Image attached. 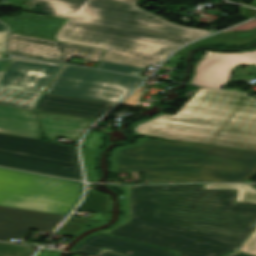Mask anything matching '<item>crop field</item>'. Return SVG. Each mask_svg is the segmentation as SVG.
I'll use <instances>...</instances> for the list:
<instances>
[{"label": "crop field", "mask_w": 256, "mask_h": 256, "mask_svg": "<svg viewBox=\"0 0 256 256\" xmlns=\"http://www.w3.org/2000/svg\"><path fill=\"white\" fill-rule=\"evenodd\" d=\"M236 192L203 184L137 186V221L110 235L178 256L229 253L256 226V206L235 204Z\"/></svg>", "instance_id": "obj_1"}, {"label": "crop field", "mask_w": 256, "mask_h": 256, "mask_svg": "<svg viewBox=\"0 0 256 256\" xmlns=\"http://www.w3.org/2000/svg\"><path fill=\"white\" fill-rule=\"evenodd\" d=\"M137 0H89L58 41L104 49L101 60L147 68L209 31L184 27L139 9Z\"/></svg>", "instance_id": "obj_2"}, {"label": "crop field", "mask_w": 256, "mask_h": 256, "mask_svg": "<svg viewBox=\"0 0 256 256\" xmlns=\"http://www.w3.org/2000/svg\"><path fill=\"white\" fill-rule=\"evenodd\" d=\"M132 129L164 139L256 151V99L200 88L175 116L159 113Z\"/></svg>", "instance_id": "obj_3"}, {"label": "crop field", "mask_w": 256, "mask_h": 256, "mask_svg": "<svg viewBox=\"0 0 256 256\" xmlns=\"http://www.w3.org/2000/svg\"><path fill=\"white\" fill-rule=\"evenodd\" d=\"M117 161L120 173L140 170L151 183L244 182L256 173V152L189 142L148 140Z\"/></svg>", "instance_id": "obj_4"}, {"label": "crop field", "mask_w": 256, "mask_h": 256, "mask_svg": "<svg viewBox=\"0 0 256 256\" xmlns=\"http://www.w3.org/2000/svg\"><path fill=\"white\" fill-rule=\"evenodd\" d=\"M83 183L0 168V205L67 215Z\"/></svg>", "instance_id": "obj_5"}, {"label": "crop field", "mask_w": 256, "mask_h": 256, "mask_svg": "<svg viewBox=\"0 0 256 256\" xmlns=\"http://www.w3.org/2000/svg\"><path fill=\"white\" fill-rule=\"evenodd\" d=\"M144 80L62 65L45 93L116 104Z\"/></svg>", "instance_id": "obj_6"}, {"label": "crop field", "mask_w": 256, "mask_h": 256, "mask_svg": "<svg viewBox=\"0 0 256 256\" xmlns=\"http://www.w3.org/2000/svg\"><path fill=\"white\" fill-rule=\"evenodd\" d=\"M8 51L12 55L67 63L71 56L98 62L104 50L58 43L25 35L10 34Z\"/></svg>", "instance_id": "obj_7"}, {"label": "crop field", "mask_w": 256, "mask_h": 256, "mask_svg": "<svg viewBox=\"0 0 256 256\" xmlns=\"http://www.w3.org/2000/svg\"><path fill=\"white\" fill-rule=\"evenodd\" d=\"M64 217L0 206V241L9 242L10 238L26 239L29 229L51 233L55 228L54 223Z\"/></svg>", "instance_id": "obj_8"}, {"label": "crop field", "mask_w": 256, "mask_h": 256, "mask_svg": "<svg viewBox=\"0 0 256 256\" xmlns=\"http://www.w3.org/2000/svg\"><path fill=\"white\" fill-rule=\"evenodd\" d=\"M61 65L13 58L0 85L44 92L50 79Z\"/></svg>", "instance_id": "obj_9"}, {"label": "crop field", "mask_w": 256, "mask_h": 256, "mask_svg": "<svg viewBox=\"0 0 256 256\" xmlns=\"http://www.w3.org/2000/svg\"><path fill=\"white\" fill-rule=\"evenodd\" d=\"M256 64V52L247 53H216L202 59L196 65V76L192 84L220 87L228 81L230 68L240 63Z\"/></svg>", "instance_id": "obj_10"}, {"label": "crop field", "mask_w": 256, "mask_h": 256, "mask_svg": "<svg viewBox=\"0 0 256 256\" xmlns=\"http://www.w3.org/2000/svg\"><path fill=\"white\" fill-rule=\"evenodd\" d=\"M0 149L79 164L76 148L43 140L0 133Z\"/></svg>", "instance_id": "obj_11"}, {"label": "crop field", "mask_w": 256, "mask_h": 256, "mask_svg": "<svg viewBox=\"0 0 256 256\" xmlns=\"http://www.w3.org/2000/svg\"><path fill=\"white\" fill-rule=\"evenodd\" d=\"M102 247L126 256H176L170 250L98 234L92 235L73 251L96 256L102 251ZM127 251L134 253L130 255Z\"/></svg>", "instance_id": "obj_12"}, {"label": "crop field", "mask_w": 256, "mask_h": 256, "mask_svg": "<svg viewBox=\"0 0 256 256\" xmlns=\"http://www.w3.org/2000/svg\"><path fill=\"white\" fill-rule=\"evenodd\" d=\"M0 166L82 180L80 167L61 161L17 154L0 150Z\"/></svg>", "instance_id": "obj_13"}, {"label": "crop field", "mask_w": 256, "mask_h": 256, "mask_svg": "<svg viewBox=\"0 0 256 256\" xmlns=\"http://www.w3.org/2000/svg\"><path fill=\"white\" fill-rule=\"evenodd\" d=\"M113 104L45 94L37 110L97 120Z\"/></svg>", "instance_id": "obj_14"}, {"label": "crop field", "mask_w": 256, "mask_h": 256, "mask_svg": "<svg viewBox=\"0 0 256 256\" xmlns=\"http://www.w3.org/2000/svg\"><path fill=\"white\" fill-rule=\"evenodd\" d=\"M10 26L11 33H20L37 38L55 40L58 28L67 20L54 16L23 13L17 17L0 18Z\"/></svg>", "instance_id": "obj_15"}, {"label": "crop field", "mask_w": 256, "mask_h": 256, "mask_svg": "<svg viewBox=\"0 0 256 256\" xmlns=\"http://www.w3.org/2000/svg\"><path fill=\"white\" fill-rule=\"evenodd\" d=\"M0 132L41 139L33 111L0 106Z\"/></svg>", "instance_id": "obj_16"}, {"label": "crop field", "mask_w": 256, "mask_h": 256, "mask_svg": "<svg viewBox=\"0 0 256 256\" xmlns=\"http://www.w3.org/2000/svg\"><path fill=\"white\" fill-rule=\"evenodd\" d=\"M38 117L45 131V138L53 140L58 137L79 139L84 130L94 122L44 113H38Z\"/></svg>", "instance_id": "obj_17"}, {"label": "crop field", "mask_w": 256, "mask_h": 256, "mask_svg": "<svg viewBox=\"0 0 256 256\" xmlns=\"http://www.w3.org/2000/svg\"><path fill=\"white\" fill-rule=\"evenodd\" d=\"M29 10L70 19L83 9L88 0H33Z\"/></svg>", "instance_id": "obj_18"}, {"label": "crop field", "mask_w": 256, "mask_h": 256, "mask_svg": "<svg viewBox=\"0 0 256 256\" xmlns=\"http://www.w3.org/2000/svg\"><path fill=\"white\" fill-rule=\"evenodd\" d=\"M255 38H256V28L251 30H243V31L223 32V33H219L214 36L208 37L206 39H203L201 41H198L196 43H193L181 49L176 54L183 55L186 51H188L191 48L198 47V46L214 45L219 43H226V44L239 46V45L249 43Z\"/></svg>", "instance_id": "obj_19"}, {"label": "crop field", "mask_w": 256, "mask_h": 256, "mask_svg": "<svg viewBox=\"0 0 256 256\" xmlns=\"http://www.w3.org/2000/svg\"><path fill=\"white\" fill-rule=\"evenodd\" d=\"M41 95L40 92L0 87V105L34 110Z\"/></svg>", "instance_id": "obj_20"}, {"label": "crop field", "mask_w": 256, "mask_h": 256, "mask_svg": "<svg viewBox=\"0 0 256 256\" xmlns=\"http://www.w3.org/2000/svg\"><path fill=\"white\" fill-rule=\"evenodd\" d=\"M116 188L123 191L122 202H123V208H124V215L119 224L115 225L110 230H103L100 233L109 234L136 220V186H127V187L116 186Z\"/></svg>", "instance_id": "obj_21"}, {"label": "crop field", "mask_w": 256, "mask_h": 256, "mask_svg": "<svg viewBox=\"0 0 256 256\" xmlns=\"http://www.w3.org/2000/svg\"><path fill=\"white\" fill-rule=\"evenodd\" d=\"M204 189H238L236 202L256 204V187L247 184H204Z\"/></svg>", "instance_id": "obj_22"}, {"label": "crop field", "mask_w": 256, "mask_h": 256, "mask_svg": "<svg viewBox=\"0 0 256 256\" xmlns=\"http://www.w3.org/2000/svg\"><path fill=\"white\" fill-rule=\"evenodd\" d=\"M108 205H110L109 196L87 190L85 200L78 209L100 212L101 215H107Z\"/></svg>", "instance_id": "obj_23"}, {"label": "crop field", "mask_w": 256, "mask_h": 256, "mask_svg": "<svg viewBox=\"0 0 256 256\" xmlns=\"http://www.w3.org/2000/svg\"><path fill=\"white\" fill-rule=\"evenodd\" d=\"M97 68L115 71V72L126 73V74L138 75V76H140L145 71L144 68L126 66V65L103 62V61H100Z\"/></svg>", "instance_id": "obj_24"}, {"label": "crop field", "mask_w": 256, "mask_h": 256, "mask_svg": "<svg viewBox=\"0 0 256 256\" xmlns=\"http://www.w3.org/2000/svg\"><path fill=\"white\" fill-rule=\"evenodd\" d=\"M89 222L98 223V224L107 223L102 221L71 217L59 231L78 234L83 230L84 226Z\"/></svg>", "instance_id": "obj_25"}, {"label": "crop field", "mask_w": 256, "mask_h": 256, "mask_svg": "<svg viewBox=\"0 0 256 256\" xmlns=\"http://www.w3.org/2000/svg\"><path fill=\"white\" fill-rule=\"evenodd\" d=\"M30 247L0 243V256H32Z\"/></svg>", "instance_id": "obj_26"}, {"label": "crop field", "mask_w": 256, "mask_h": 256, "mask_svg": "<svg viewBox=\"0 0 256 256\" xmlns=\"http://www.w3.org/2000/svg\"><path fill=\"white\" fill-rule=\"evenodd\" d=\"M103 133L99 131L89 130L85 139L83 140L84 147L100 148L104 143L101 140Z\"/></svg>", "instance_id": "obj_27"}, {"label": "crop field", "mask_w": 256, "mask_h": 256, "mask_svg": "<svg viewBox=\"0 0 256 256\" xmlns=\"http://www.w3.org/2000/svg\"><path fill=\"white\" fill-rule=\"evenodd\" d=\"M239 251L247 252L256 255V231L239 249Z\"/></svg>", "instance_id": "obj_28"}, {"label": "crop field", "mask_w": 256, "mask_h": 256, "mask_svg": "<svg viewBox=\"0 0 256 256\" xmlns=\"http://www.w3.org/2000/svg\"><path fill=\"white\" fill-rule=\"evenodd\" d=\"M98 150L96 149H86V148H82L81 152H82V156H83V161L84 164L86 165H91V166H95V158L94 155Z\"/></svg>", "instance_id": "obj_29"}, {"label": "crop field", "mask_w": 256, "mask_h": 256, "mask_svg": "<svg viewBox=\"0 0 256 256\" xmlns=\"http://www.w3.org/2000/svg\"><path fill=\"white\" fill-rule=\"evenodd\" d=\"M146 140H148L147 138H139V143L137 144H130V145H126V146H122L119 148H116L113 152V157H112V172L113 173H119L118 172V168H117V162H116V156L118 154V152L123 149V148H127V147H132V146H137V145H141L143 144Z\"/></svg>", "instance_id": "obj_30"}, {"label": "crop field", "mask_w": 256, "mask_h": 256, "mask_svg": "<svg viewBox=\"0 0 256 256\" xmlns=\"http://www.w3.org/2000/svg\"><path fill=\"white\" fill-rule=\"evenodd\" d=\"M142 88H143V86L141 88H139L136 92H134L131 96H129L126 100H124L121 104L133 106L135 104V102L137 101Z\"/></svg>", "instance_id": "obj_31"}, {"label": "crop field", "mask_w": 256, "mask_h": 256, "mask_svg": "<svg viewBox=\"0 0 256 256\" xmlns=\"http://www.w3.org/2000/svg\"><path fill=\"white\" fill-rule=\"evenodd\" d=\"M94 168L95 167L84 165L87 182H96L97 181L95 173H94Z\"/></svg>", "instance_id": "obj_32"}, {"label": "crop field", "mask_w": 256, "mask_h": 256, "mask_svg": "<svg viewBox=\"0 0 256 256\" xmlns=\"http://www.w3.org/2000/svg\"><path fill=\"white\" fill-rule=\"evenodd\" d=\"M7 33L0 32V58H2L3 54L5 53L4 45L6 40Z\"/></svg>", "instance_id": "obj_33"}, {"label": "crop field", "mask_w": 256, "mask_h": 256, "mask_svg": "<svg viewBox=\"0 0 256 256\" xmlns=\"http://www.w3.org/2000/svg\"><path fill=\"white\" fill-rule=\"evenodd\" d=\"M44 250V253L39 252L37 256H53L56 252L55 251H50V250Z\"/></svg>", "instance_id": "obj_34"}, {"label": "crop field", "mask_w": 256, "mask_h": 256, "mask_svg": "<svg viewBox=\"0 0 256 256\" xmlns=\"http://www.w3.org/2000/svg\"><path fill=\"white\" fill-rule=\"evenodd\" d=\"M100 256H121V255H118V254H115V253H112V252H109V251H105Z\"/></svg>", "instance_id": "obj_35"}, {"label": "crop field", "mask_w": 256, "mask_h": 256, "mask_svg": "<svg viewBox=\"0 0 256 256\" xmlns=\"http://www.w3.org/2000/svg\"><path fill=\"white\" fill-rule=\"evenodd\" d=\"M34 2L32 0H29L23 7V10H27ZM29 11V10H28Z\"/></svg>", "instance_id": "obj_36"}, {"label": "crop field", "mask_w": 256, "mask_h": 256, "mask_svg": "<svg viewBox=\"0 0 256 256\" xmlns=\"http://www.w3.org/2000/svg\"><path fill=\"white\" fill-rule=\"evenodd\" d=\"M227 256H249V255H245V254H242V253L235 252V253H232V254L227 255Z\"/></svg>", "instance_id": "obj_37"}, {"label": "crop field", "mask_w": 256, "mask_h": 256, "mask_svg": "<svg viewBox=\"0 0 256 256\" xmlns=\"http://www.w3.org/2000/svg\"><path fill=\"white\" fill-rule=\"evenodd\" d=\"M240 4L256 7V0H254L251 4H247V3H243V2H241Z\"/></svg>", "instance_id": "obj_38"}, {"label": "crop field", "mask_w": 256, "mask_h": 256, "mask_svg": "<svg viewBox=\"0 0 256 256\" xmlns=\"http://www.w3.org/2000/svg\"><path fill=\"white\" fill-rule=\"evenodd\" d=\"M6 62H7V60H5V61H0V71L3 70V68H4L5 64H6Z\"/></svg>", "instance_id": "obj_39"}, {"label": "crop field", "mask_w": 256, "mask_h": 256, "mask_svg": "<svg viewBox=\"0 0 256 256\" xmlns=\"http://www.w3.org/2000/svg\"><path fill=\"white\" fill-rule=\"evenodd\" d=\"M0 31L7 32V28L1 23H0Z\"/></svg>", "instance_id": "obj_40"}, {"label": "crop field", "mask_w": 256, "mask_h": 256, "mask_svg": "<svg viewBox=\"0 0 256 256\" xmlns=\"http://www.w3.org/2000/svg\"><path fill=\"white\" fill-rule=\"evenodd\" d=\"M81 61H82L81 59L73 58L71 62H72V63L80 64V63H81Z\"/></svg>", "instance_id": "obj_41"}, {"label": "crop field", "mask_w": 256, "mask_h": 256, "mask_svg": "<svg viewBox=\"0 0 256 256\" xmlns=\"http://www.w3.org/2000/svg\"><path fill=\"white\" fill-rule=\"evenodd\" d=\"M24 244H29V245H37V246H39V245H41V244H38V243H29V242H23Z\"/></svg>", "instance_id": "obj_42"}, {"label": "crop field", "mask_w": 256, "mask_h": 256, "mask_svg": "<svg viewBox=\"0 0 256 256\" xmlns=\"http://www.w3.org/2000/svg\"><path fill=\"white\" fill-rule=\"evenodd\" d=\"M57 234H61V235H72V236H75L74 234H67V233H61V232H57Z\"/></svg>", "instance_id": "obj_43"}, {"label": "crop field", "mask_w": 256, "mask_h": 256, "mask_svg": "<svg viewBox=\"0 0 256 256\" xmlns=\"http://www.w3.org/2000/svg\"><path fill=\"white\" fill-rule=\"evenodd\" d=\"M4 74V71L0 72V75H3Z\"/></svg>", "instance_id": "obj_44"}]
</instances>
